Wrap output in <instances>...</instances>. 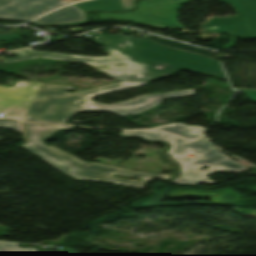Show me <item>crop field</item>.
Segmentation results:
<instances>
[{"instance_id": "crop-field-1", "label": "crop field", "mask_w": 256, "mask_h": 256, "mask_svg": "<svg viewBox=\"0 0 256 256\" xmlns=\"http://www.w3.org/2000/svg\"><path fill=\"white\" fill-rule=\"evenodd\" d=\"M142 84L146 83L118 82L69 94L65 93L72 88L69 86L21 80L15 83L14 87L0 86V113H4L3 117L25 122L63 123L77 112L107 110L120 115L135 114L156 105L165 97L193 95V90L144 95L115 105L90 101L93 96ZM21 85L23 86L20 87ZM77 101L82 104H77Z\"/></svg>"}, {"instance_id": "crop-field-2", "label": "crop field", "mask_w": 256, "mask_h": 256, "mask_svg": "<svg viewBox=\"0 0 256 256\" xmlns=\"http://www.w3.org/2000/svg\"><path fill=\"white\" fill-rule=\"evenodd\" d=\"M96 41L107 46L110 57H87L26 49L17 51L18 57L1 62L10 63L37 57L94 63L128 61L131 68H136L141 74L111 73V77L119 81L150 82L183 69L219 79H226L218 61L195 53L165 47L146 38L115 35L97 37Z\"/></svg>"}, {"instance_id": "crop-field-3", "label": "crop field", "mask_w": 256, "mask_h": 256, "mask_svg": "<svg viewBox=\"0 0 256 256\" xmlns=\"http://www.w3.org/2000/svg\"><path fill=\"white\" fill-rule=\"evenodd\" d=\"M28 144L23 145L30 152L44 158L60 171L76 178L85 180H98L110 183L134 186L143 188L151 179L159 177L164 179L166 176L140 173L115 166H106L98 163H83L71 155H68L57 148L46 146L42 141L57 130L63 128H72L62 125H26L22 123ZM46 161V162H47ZM113 174L127 175L143 178L142 182L117 179Z\"/></svg>"}, {"instance_id": "crop-field-4", "label": "crop field", "mask_w": 256, "mask_h": 256, "mask_svg": "<svg viewBox=\"0 0 256 256\" xmlns=\"http://www.w3.org/2000/svg\"><path fill=\"white\" fill-rule=\"evenodd\" d=\"M122 135L139 136L169 142L171 149L167 153L181 165V175L173 183L197 185V183H214L206 175L222 171L240 172L246 167L221 154L203 139L185 140L177 135L159 130L122 131ZM193 154L190 158L187 154ZM200 166L208 169L198 170Z\"/></svg>"}, {"instance_id": "crop-field-5", "label": "crop field", "mask_w": 256, "mask_h": 256, "mask_svg": "<svg viewBox=\"0 0 256 256\" xmlns=\"http://www.w3.org/2000/svg\"><path fill=\"white\" fill-rule=\"evenodd\" d=\"M237 12L234 17H214L202 24L199 33L228 32L241 39L256 37V0H221Z\"/></svg>"}, {"instance_id": "crop-field-6", "label": "crop field", "mask_w": 256, "mask_h": 256, "mask_svg": "<svg viewBox=\"0 0 256 256\" xmlns=\"http://www.w3.org/2000/svg\"><path fill=\"white\" fill-rule=\"evenodd\" d=\"M187 1L189 0H142L135 11L124 14L129 22L185 30L174 20V14Z\"/></svg>"}, {"instance_id": "crop-field-7", "label": "crop field", "mask_w": 256, "mask_h": 256, "mask_svg": "<svg viewBox=\"0 0 256 256\" xmlns=\"http://www.w3.org/2000/svg\"><path fill=\"white\" fill-rule=\"evenodd\" d=\"M65 4L63 0H0V19L30 20Z\"/></svg>"}, {"instance_id": "crop-field-8", "label": "crop field", "mask_w": 256, "mask_h": 256, "mask_svg": "<svg viewBox=\"0 0 256 256\" xmlns=\"http://www.w3.org/2000/svg\"><path fill=\"white\" fill-rule=\"evenodd\" d=\"M85 13L73 5L63 7L36 20L37 24L81 22Z\"/></svg>"}, {"instance_id": "crop-field-9", "label": "crop field", "mask_w": 256, "mask_h": 256, "mask_svg": "<svg viewBox=\"0 0 256 256\" xmlns=\"http://www.w3.org/2000/svg\"><path fill=\"white\" fill-rule=\"evenodd\" d=\"M159 129H163L169 132L176 133L178 135L184 136L186 138H195L201 135L206 129L201 126H188L182 123L170 124V125H162L156 127Z\"/></svg>"}, {"instance_id": "crop-field-10", "label": "crop field", "mask_w": 256, "mask_h": 256, "mask_svg": "<svg viewBox=\"0 0 256 256\" xmlns=\"http://www.w3.org/2000/svg\"><path fill=\"white\" fill-rule=\"evenodd\" d=\"M76 6L87 10L123 9L120 0H89L76 4Z\"/></svg>"}, {"instance_id": "crop-field-11", "label": "crop field", "mask_w": 256, "mask_h": 256, "mask_svg": "<svg viewBox=\"0 0 256 256\" xmlns=\"http://www.w3.org/2000/svg\"><path fill=\"white\" fill-rule=\"evenodd\" d=\"M35 248H18V244L0 242V256H32Z\"/></svg>"}, {"instance_id": "crop-field-12", "label": "crop field", "mask_w": 256, "mask_h": 256, "mask_svg": "<svg viewBox=\"0 0 256 256\" xmlns=\"http://www.w3.org/2000/svg\"><path fill=\"white\" fill-rule=\"evenodd\" d=\"M86 64L107 74H110V72L140 73L136 69H131L127 62L112 63V64H93V63H86Z\"/></svg>"}, {"instance_id": "crop-field-13", "label": "crop field", "mask_w": 256, "mask_h": 256, "mask_svg": "<svg viewBox=\"0 0 256 256\" xmlns=\"http://www.w3.org/2000/svg\"><path fill=\"white\" fill-rule=\"evenodd\" d=\"M0 127L20 130L19 124L8 120H0Z\"/></svg>"}, {"instance_id": "crop-field-14", "label": "crop field", "mask_w": 256, "mask_h": 256, "mask_svg": "<svg viewBox=\"0 0 256 256\" xmlns=\"http://www.w3.org/2000/svg\"><path fill=\"white\" fill-rule=\"evenodd\" d=\"M235 91L245 94L249 99L256 101V90L234 88Z\"/></svg>"}, {"instance_id": "crop-field-15", "label": "crop field", "mask_w": 256, "mask_h": 256, "mask_svg": "<svg viewBox=\"0 0 256 256\" xmlns=\"http://www.w3.org/2000/svg\"><path fill=\"white\" fill-rule=\"evenodd\" d=\"M21 35H5V34H0V40H6V41H14Z\"/></svg>"}, {"instance_id": "crop-field-16", "label": "crop field", "mask_w": 256, "mask_h": 256, "mask_svg": "<svg viewBox=\"0 0 256 256\" xmlns=\"http://www.w3.org/2000/svg\"><path fill=\"white\" fill-rule=\"evenodd\" d=\"M123 4L124 9H130L133 7V1L134 0H121Z\"/></svg>"}, {"instance_id": "crop-field-17", "label": "crop field", "mask_w": 256, "mask_h": 256, "mask_svg": "<svg viewBox=\"0 0 256 256\" xmlns=\"http://www.w3.org/2000/svg\"><path fill=\"white\" fill-rule=\"evenodd\" d=\"M69 1L74 2V1H78V0H69Z\"/></svg>"}]
</instances>
